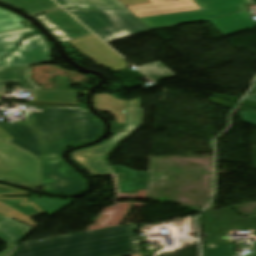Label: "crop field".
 <instances>
[{
	"label": "crop field",
	"mask_w": 256,
	"mask_h": 256,
	"mask_svg": "<svg viewBox=\"0 0 256 256\" xmlns=\"http://www.w3.org/2000/svg\"><path fill=\"white\" fill-rule=\"evenodd\" d=\"M26 121L42 137L47 158L41 159L42 183L46 192L71 194L85 189L82 177L59 157L67 146L97 139L104 126L86 109L31 108Z\"/></svg>",
	"instance_id": "crop-field-1"
},
{
	"label": "crop field",
	"mask_w": 256,
	"mask_h": 256,
	"mask_svg": "<svg viewBox=\"0 0 256 256\" xmlns=\"http://www.w3.org/2000/svg\"><path fill=\"white\" fill-rule=\"evenodd\" d=\"M139 252L132 224L20 244L11 256H128Z\"/></svg>",
	"instance_id": "crop-field-2"
},
{
	"label": "crop field",
	"mask_w": 256,
	"mask_h": 256,
	"mask_svg": "<svg viewBox=\"0 0 256 256\" xmlns=\"http://www.w3.org/2000/svg\"><path fill=\"white\" fill-rule=\"evenodd\" d=\"M202 10L141 18L151 29L210 21L223 37L256 27L243 6L249 0H193ZM237 12H241L238 14Z\"/></svg>",
	"instance_id": "crop-field-3"
},
{
	"label": "crop field",
	"mask_w": 256,
	"mask_h": 256,
	"mask_svg": "<svg viewBox=\"0 0 256 256\" xmlns=\"http://www.w3.org/2000/svg\"><path fill=\"white\" fill-rule=\"evenodd\" d=\"M68 11L107 43L151 31L129 10L88 11L73 9Z\"/></svg>",
	"instance_id": "crop-field-4"
},
{
	"label": "crop field",
	"mask_w": 256,
	"mask_h": 256,
	"mask_svg": "<svg viewBox=\"0 0 256 256\" xmlns=\"http://www.w3.org/2000/svg\"><path fill=\"white\" fill-rule=\"evenodd\" d=\"M141 98L127 101L125 115V132L116 134L112 139L75 151L70 157L92 176L111 175L105 156L111 149L140 125Z\"/></svg>",
	"instance_id": "crop-field-5"
},
{
	"label": "crop field",
	"mask_w": 256,
	"mask_h": 256,
	"mask_svg": "<svg viewBox=\"0 0 256 256\" xmlns=\"http://www.w3.org/2000/svg\"><path fill=\"white\" fill-rule=\"evenodd\" d=\"M26 191L0 185V196L27 195ZM39 196L27 198H0V214L23 222L32 227L37 225L28 218L46 213L50 217L68 206L73 201L38 199ZM34 201L32 203L31 201Z\"/></svg>",
	"instance_id": "crop-field-6"
},
{
	"label": "crop field",
	"mask_w": 256,
	"mask_h": 256,
	"mask_svg": "<svg viewBox=\"0 0 256 256\" xmlns=\"http://www.w3.org/2000/svg\"><path fill=\"white\" fill-rule=\"evenodd\" d=\"M0 177L39 189L40 160L0 139Z\"/></svg>",
	"instance_id": "crop-field-7"
},
{
	"label": "crop field",
	"mask_w": 256,
	"mask_h": 256,
	"mask_svg": "<svg viewBox=\"0 0 256 256\" xmlns=\"http://www.w3.org/2000/svg\"><path fill=\"white\" fill-rule=\"evenodd\" d=\"M204 233H208L209 238H203L202 256H235L236 252L229 250L233 243L227 241H220L219 237L225 235L227 232L236 229L247 231V229H255L256 233V217L205 225L202 226Z\"/></svg>",
	"instance_id": "crop-field-8"
},
{
	"label": "crop field",
	"mask_w": 256,
	"mask_h": 256,
	"mask_svg": "<svg viewBox=\"0 0 256 256\" xmlns=\"http://www.w3.org/2000/svg\"><path fill=\"white\" fill-rule=\"evenodd\" d=\"M69 42L80 54L87 56L94 63L103 65L107 69L116 71L128 66L123 62L124 59L94 35Z\"/></svg>",
	"instance_id": "crop-field-9"
},
{
	"label": "crop field",
	"mask_w": 256,
	"mask_h": 256,
	"mask_svg": "<svg viewBox=\"0 0 256 256\" xmlns=\"http://www.w3.org/2000/svg\"><path fill=\"white\" fill-rule=\"evenodd\" d=\"M51 61V52L44 50L39 37H30L21 42L13 53L0 63V68L34 66Z\"/></svg>",
	"instance_id": "crop-field-10"
},
{
	"label": "crop field",
	"mask_w": 256,
	"mask_h": 256,
	"mask_svg": "<svg viewBox=\"0 0 256 256\" xmlns=\"http://www.w3.org/2000/svg\"><path fill=\"white\" fill-rule=\"evenodd\" d=\"M151 3L129 6L139 17L200 9L191 0H149ZM137 16V17H138Z\"/></svg>",
	"instance_id": "crop-field-11"
},
{
	"label": "crop field",
	"mask_w": 256,
	"mask_h": 256,
	"mask_svg": "<svg viewBox=\"0 0 256 256\" xmlns=\"http://www.w3.org/2000/svg\"><path fill=\"white\" fill-rule=\"evenodd\" d=\"M0 127L6 131L15 140L8 142L38 156L45 157L42 153L38 134L22 122L10 125L8 121L0 124Z\"/></svg>",
	"instance_id": "crop-field-12"
},
{
	"label": "crop field",
	"mask_w": 256,
	"mask_h": 256,
	"mask_svg": "<svg viewBox=\"0 0 256 256\" xmlns=\"http://www.w3.org/2000/svg\"><path fill=\"white\" fill-rule=\"evenodd\" d=\"M111 168L117 193L138 194V191L147 189L148 172L132 171L120 166Z\"/></svg>",
	"instance_id": "crop-field-13"
},
{
	"label": "crop field",
	"mask_w": 256,
	"mask_h": 256,
	"mask_svg": "<svg viewBox=\"0 0 256 256\" xmlns=\"http://www.w3.org/2000/svg\"><path fill=\"white\" fill-rule=\"evenodd\" d=\"M33 230L25 224L12 219L8 221L0 216V239L6 243V248L0 256H10L17 245Z\"/></svg>",
	"instance_id": "crop-field-14"
},
{
	"label": "crop field",
	"mask_w": 256,
	"mask_h": 256,
	"mask_svg": "<svg viewBox=\"0 0 256 256\" xmlns=\"http://www.w3.org/2000/svg\"><path fill=\"white\" fill-rule=\"evenodd\" d=\"M44 14L71 40L92 34L64 10H55Z\"/></svg>",
	"instance_id": "crop-field-15"
},
{
	"label": "crop field",
	"mask_w": 256,
	"mask_h": 256,
	"mask_svg": "<svg viewBox=\"0 0 256 256\" xmlns=\"http://www.w3.org/2000/svg\"><path fill=\"white\" fill-rule=\"evenodd\" d=\"M93 102L98 112H109L118 124H124L125 101L113 99L109 94H99L94 96Z\"/></svg>",
	"instance_id": "crop-field-16"
},
{
	"label": "crop field",
	"mask_w": 256,
	"mask_h": 256,
	"mask_svg": "<svg viewBox=\"0 0 256 256\" xmlns=\"http://www.w3.org/2000/svg\"><path fill=\"white\" fill-rule=\"evenodd\" d=\"M64 8L77 7L87 9H125L118 0H57ZM60 4V5H61Z\"/></svg>",
	"instance_id": "crop-field-17"
},
{
	"label": "crop field",
	"mask_w": 256,
	"mask_h": 256,
	"mask_svg": "<svg viewBox=\"0 0 256 256\" xmlns=\"http://www.w3.org/2000/svg\"><path fill=\"white\" fill-rule=\"evenodd\" d=\"M34 99L46 102L77 103L76 92L61 90H37L34 91Z\"/></svg>",
	"instance_id": "crop-field-18"
},
{
	"label": "crop field",
	"mask_w": 256,
	"mask_h": 256,
	"mask_svg": "<svg viewBox=\"0 0 256 256\" xmlns=\"http://www.w3.org/2000/svg\"><path fill=\"white\" fill-rule=\"evenodd\" d=\"M8 3H11L24 11L28 12L31 15L38 14L40 12L56 9L59 6L54 3L52 0H3Z\"/></svg>",
	"instance_id": "crop-field-19"
},
{
	"label": "crop field",
	"mask_w": 256,
	"mask_h": 256,
	"mask_svg": "<svg viewBox=\"0 0 256 256\" xmlns=\"http://www.w3.org/2000/svg\"><path fill=\"white\" fill-rule=\"evenodd\" d=\"M32 31L31 28L0 34V62L18 47V41L23 33Z\"/></svg>",
	"instance_id": "crop-field-20"
},
{
	"label": "crop field",
	"mask_w": 256,
	"mask_h": 256,
	"mask_svg": "<svg viewBox=\"0 0 256 256\" xmlns=\"http://www.w3.org/2000/svg\"><path fill=\"white\" fill-rule=\"evenodd\" d=\"M234 219H240V217L230 208H225L221 210L205 212L203 215L199 216V224L205 225Z\"/></svg>",
	"instance_id": "crop-field-21"
},
{
	"label": "crop field",
	"mask_w": 256,
	"mask_h": 256,
	"mask_svg": "<svg viewBox=\"0 0 256 256\" xmlns=\"http://www.w3.org/2000/svg\"><path fill=\"white\" fill-rule=\"evenodd\" d=\"M147 76H149L153 81L161 80L174 75L160 62H154L138 67Z\"/></svg>",
	"instance_id": "crop-field-22"
},
{
	"label": "crop field",
	"mask_w": 256,
	"mask_h": 256,
	"mask_svg": "<svg viewBox=\"0 0 256 256\" xmlns=\"http://www.w3.org/2000/svg\"><path fill=\"white\" fill-rule=\"evenodd\" d=\"M25 20L22 16L0 9V32L23 28L20 24Z\"/></svg>",
	"instance_id": "crop-field-23"
},
{
	"label": "crop field",
	"mask_w": 256,
	"mask_h": 256,
	"mask_svg": "<svg viewBox=\"0 0 256 256\" xmlns=\"http://www.w3.org/2000/svg\"><path fill=\"white\" fill-rule=\"evenodd\" d=\"M52 35L60 42L70 40L60 29H58L44 14L34 16Z\"/></svg>",
	"instance_id": "crop-field-24"
},
{
	"label": "crop field",
	"mask_w": 256,
	"mask_h": 256,
	"mask_svg": "<svg viewBox=\"0 0 256 256\" xmlns=\"http://www.w3.org/2000/svg\"><path fill=\"white\" fill-rule=\"evenodd\" d=\"M15 82H21L24 87L27 89H36L38 88L30 79H29V67L15 69Z\"/></svg>",
	"instance_id": "crop-field-25"
},
{
	"label": "crop field",
	"mask_w": 256,
	"mask_h": 256,
	"mask_svg": "<svg viewBox=\"0 0 256 256\" xmlns=\"http://www.w3.org/2000/svg\"><path fill=\"white\" fill-rule=\"evenodd\" d=\"M14 82V68L0 69V83Z\"/></svg>",
	"instance_id": "crop-field-26"
},
{
	"label": "crop field",
	"mask_w": 256,
	"mask_h": 256,
	"mask_svg": "<svg viewBox=\"0 0 256 256\" xmlns=\"http://www.w3.org/2000/svg\"><path fill=\"white\" fill-rule=\"evenodd\" d=\"M242 121L256 125V113L240 111Z\"/></svg>",
	"instance_id": "crop-field-27"
},
{
	"label": "crop field",
	"mask_w": 256,
	"mask_h": 256,
	"mask_svg": "<svg viewBox=\"0 0 256 256\" xmlns=\"http://www.w3.org/2000/svg\"><path fill=\"white\" fill-rule=\"evenodd\" d=\"M32 29H33V32L24 34L22 36V38L20 39V41L23 40L26 37L37 35V36H39L41 38V40H42V42L44 44L45 49H49L50 46H49L48 42H46V39L41 34L38 33L39 31L35 27H33Z\"/></svg>",
	"instance_id": "crop-field-28"
},
{
	"label": "crop field",
	"mask_w": 256,
	"mask_h": 256,
	"mask_svg": "<svg viewBox=\"0 0 256 256\" xmlns=\"http://www.w3.org/2000/svg\"><path fill=\"white\" fill-rule=\"evenodd\" d=\"M209 102L233 109L236 104L211 97Z\"/></svg>",
	"instance_id": "crop-field-29"
},
{
	"label": "crop field",
	"mask_w": 256,
	"mask_h": 256,
	"mask_svg": "<svg viewBox=\"0 0 256 256\" xmlns=\"http://www.w3.org/2000/svg\"><path fill=\"white\" fill-rule=\"evenodd\" d=\"M119 1H120L121 3H123L125 6L149 2L148 0H119Z\"/></svg>",
	"instance_id": "crop-field-30"
},
{
	"label": "crop field",
	"mask_w": 256,
	"mask_h": 256,
	"mask_svg": "<svg viewBox=\"0 0 256 256\" xmlns=\"http://www.w3.org/2000/svg\"><path fill=\"white\" fill-rule=\"evenodd\" d=\"M214 97H218V98L229 100V101L236 102V103H238V101H239L238 98H233V97H228V96H223V95H218V94H215Z\"/></svg>",
	"instance_id": "crop-field-31"
},
{
	"label": "crop field",
	"mask_w": 256,
	"mask_h": 256,
	"mask_svg": "<svg viewBox=\"0 0 256 256\" xmlns=\"http://www.w3.org/2000/svg\"><path fill=\"white\" fill-rule=\"evenodd\" d=\"M241 105L251 107V108H256V102H253V101L244 100Z\"/></svg>",
	"instance_id": "crop-field-32"
},
{
	"label": "crop field",
	"mask_w": 256,
	"mask_h": 256,
	"mask_svg": "<svg viewBox=\"0 0 256 256\" xmlns=\"http://www.w3.org/2000/svg\"><path fill=\"white\" fill-rule=\"evenodd\" d=\"M245 256H256V243L253 244L252 252Z\"/></svg>",
	"instance_id": "crop-field-33"
},
{
	"label": "crop field",
	"mask_w": 256,
	"mask_h": 256,
	"mask_svg": "<svg viewBox=\"0 0 256 256\" xmlns=\"http://www.w3.org/2000/svg\"><path fill=\"white\" fill-rule=\"evenodd\" d=\"M245 99L256 101V94L249 95Z\"/></svg>",
	"instance_id": "crop-field-34"
},
{
	"label": "crop field",
	"mask_w": 256,
	"mask_h": 256,
	"mask_svg": "<svg viewBox=\"0 0 256 256\" xmlns=\"http://www.w3.org/2000/svg\"><path fill=\"white\" fill-rule=\"evenodd\" d=\"M237 110L256 112V110L254 109H248V108H242V107H239Z\"/></svg>",
	"instance_id": "crop-field-35"
}]
</instances>
